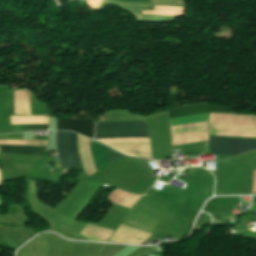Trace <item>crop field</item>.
Here are the masks:
<instances>
[{
    "label": "crop field",
    "mask_w": 256,
    "mask_h": 256,
    "mask_svg": "<svg viewBox=\"0 0 256 256\" xmlns=\"http://www.w3.org/2000/svg\"><path fill=\"white\" fill-rule=\"evenodd\" d=\"M48 124H30V125H11L12 132L30 131V130H47Z\"/></svg>",
    "instance_id": "obj_6"
},
{
    "label": "crop field",
    "mask_w": 256,
    "mask_h": 256,
    "mask_svg": "<svg viewBox=\"0 0 256 256\" xmlns=\"http://www.w3.org/2000/svg\"><path fill=\"white\" fill-rule=\"evenodd\" d=\"M57 136V151L62 167L65 168H75L82 171L84 174L91 176L100 169L112 164L113 162L125 157L124 155L98 144L92 140L88 141L86 138L78 135V152L81 161V166L79 162L78 152H77V135L69 132H56ZM81 171V172H82Z\"/></svg>",
    "instance_id": "obj_1"
},
{
    "label": "crop field",
    "mask_w": 256,
    "mask_h": 256,
    "mask_svg": "<svg viewBox=\"0 0 256 256\" xmlns=\"http://www.w3.org/2000/svg\"><path fill=\"white\" fill-rule=\"evenodd\" d=\"M57 130H73L93 139L94 125L90 119H59Z\"/></svg>",
    "instance_id": "obj_4"
},
{
    "label": "crop field",
    "mask_w": 256,
    "mask_h": 256,
    "mask_svg": "<svg viewBox=\"0 0 256 256\" xmlns=\"http://www.w3.org/2000/svg\"><path fill=\"white\" fill-rule=\"evenodd\" d=\"M0 149L4 153H13V154H34L42 155L45 147L37 146H6L0 145Z\"/></svg>",
    "instance_id": "obj_5"
},
{
    "label": "crop field",
    "mask_w": 256,
    "mask_h": 256,
    "mask_svg": "<svg viewBox=\"0 0 256 256\" xmlns=\"http://www.w3.org/2000/svg\"><path fill=\"white\" fill-rule=\"evenodd\" d=\"M206 111L235 113L222 106L208 104L203 106H193L170 110L168 111V114L169 117H172ZM207 116L208 113L199 114L195 116L178 117L170 119L169 125L172 126L189 122L204 121L207 120ZM209 146L212 154L236 155L252 149H256V139L209 137Z\"/></svg>",
    "instance_id": "obj_2"
},
{
    "label": "crop field",
    "mask_w": 256,
    "mask_h": 256,
    "mask_svg": "<svg viewBox=\"0 0 256 256\" xmlns=\"http://www.w3.org/2000/svg\"><path fill=\"white\" fill-rule=\"evenodd\" d=\"M127 1H148V0H127Z\"/></svg>",
    "instance_id": "obj_7"
},
{
    "label": "crop field",
    "mask_w": 256,
    "mask_h": 256,
    "mask_svg": "<svg viewBox=\"0 0 256 256\" xmlns=\"http://www.w3.org/2000/svg\"><path fill=\"white\" fill-rule=\"evenodd\" d=\"M149 136L144 119L96 124L95 140Z\"/></svg>",
    "instance_id": "obj_3"
}]
</instances>
